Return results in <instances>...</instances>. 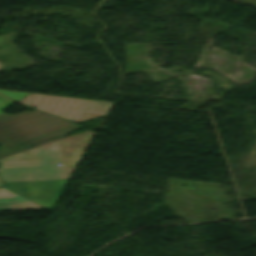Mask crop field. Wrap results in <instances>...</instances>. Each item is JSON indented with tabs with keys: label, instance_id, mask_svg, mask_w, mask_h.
Masks as SVG:
<instances>
[{
	"label": "crop field",
	"instance_id": "obj_1",
	"mask_svg": "<svg viewBox=\"0 0 256 256\" xmlns=\"http://www.w3.org/2000/svg\"><path fill=\"white\" fill-rule=\"evenodd\" d=\"M80 126L35 109L16 115L0 114V158L58 139Z\"/></svg>",
	"mask_w": 256,
	"mask_h": 256
},
{
	"label": "crop field",
	"instance_id": "obj_2",
	"mask_svg": "<svg viewBox=\"0 0 256 256\" xmlns=\"http://www.w3.org/2000/svg\"><path fill=\"white\" fill-rule=\"evenodd\" d=\"M0 163L4 182L68 178L62 139L2 158Z\"/></svg>",
	"mask_w": 256,
	"mask_h": 256
},
{
	"label": "crop field",
	"instance_id": "obj_3",
	"mask_svg": "<svg viewBox=\"0 0 256 256\" xmlns=\"http://www.w3.org/2000/svg\"><path fill=\"white\" fill-rule=\"evenodd\" d=\"M19 103L29 105L64 118H81L82 115L101 116L111 102L30 93Z\"/></svg>",
	"mask_w": 256,
	"mask_h": 256
},
{
	"label": "crop field",
	"instance_id": "obj_4",
	"mask_svg": "<svg viewBox=\"0 0 256 256\" xmlns=\"http://www.w3.org/2000/svg\"><path fill=\"white\" fill-rule=\"evenodd\" d=\"M67 180L12 182L5 183L3 187L44 208L50 209L54 207Z\"/></svg>",
	"mask_w": 256,
	"mask_h": 256
},
{
	"label": "crop field",
	"instance_id": "obj_5",
	"mask_svg": "<svg viewBox=\"0 0 256 256\" xmlns=\"http://www.w3.org/2000/svg\"><path fill=\"white\" fill-rule=\"evenodd\" d=\"M94 133L87 132L63 140L69 178L72 176Z\"/></svg>",
	"mask_w": 256,
	"mask_h": 256
},
{
	"label": "crop field",
	"instance_id": "obj_6",
	"mask_svg": "<svg viewBox=\"0 0 256 256\" xmlns=\"http://www.w3.org/2000/svg\"><path fill=\"white\" fill-rule=\"evenodd\" d=\"M0 92L7 95L8 97H10L15 101L19 100L20 98L28 94L26 92H18V91H10V90H0Z\"/></svg>",
	"mask_w": 256,
	"mask_h": 256
},
{
	"label": "crop field",
	"instance_id": "obj_7",
	"mask_svg": "<svg viewBox=\"0 0 256 256\" xmlns=\"http://www.w3.org/2000/svg\"><path fill=\"white\" fill-rule=\"evenodd\" d=\"M14 103H16V102H14L0 94V113L2 111H4L5 109H7L8 107H10L11 105H13Z\"/></svg>",
	"mask_w": 256,
	"mask_h": 256
},
{
	"label": "crop field",
	"instance_id": "obj_8",
	"mask_svg": "<svg viewBox=\"0 0 256 256\" xmlns=\"http://www.w3.org/2000/svg\"><path fill=\"white\" fill-rule=\"evenodd\" d=\"M90 118H94V117H91V116H82L81 119H72L73 121H76V122H79V121H83V120H87V119H90Z\"/></svg>",
	"mask_w": 256,
	"mask_h": 256
},
{
	"label": "crop field",
	"instance_id": "obj_9",
	"mask_svg": "<svg viewBox=\"0 0 256 256\" xmlns=\"http://www.w3.org/2000/svg\"><path fill=\"white\" fill-rule=\"evenodd\" d=\"M2 67V64L0 63V68Z\"/></svg>",
	"mask_w": 256,
	"mask_h": 256
}]
</instances>
